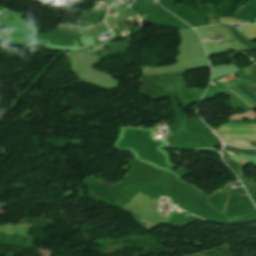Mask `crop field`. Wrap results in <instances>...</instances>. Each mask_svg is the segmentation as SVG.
I'll use <instances>...</instances> for the list:
<instances>
[{"label": "crop field", "mask_w": 256, "mask_h": 256, "mask_svg": "<svg viewBox=\"0 0 256 256\" xmlns=\"http://www.w3.org/2000/svg\"><path fill=\"white\" fill-rule=\"evenodd\" d=\"M232 89L235 90L238 94H240L244 99H246V100H247L250 104H252L254 107H256V102H254V101H253L250 97H248L245 93H243L242 91L238 90V89L235 88V87L232 88ZM232 89H231V90H232ZM235 91H234V92H235ZM246 100H245V101H246ZM247 101H246V102H247ZM252 105H251V106H252ZM253 106H252V107H253Z\"/></svg>", "instance_id": "8a807250"}, {"label": "crop field", "mask_w": 256, "mask_h": 256, "mask_svg": "<svg viewBox=\"0 0 256 256\" xmlns=\"http://www.w3.org/2000/svg\"><path fill=\"white\" fill-rule=\"evenodd\" d=\"M242 86L245 87L250 92H252L254 95H256V88L255 87L248 86V85H242Z\"/></svg>", "instance_id": "ac0d7876"}, {"label": "crop field", "mask_w": 256, "mask_h": 256, "mask_svg": "<svg viewBox=\"0 0 256 256\" xmlns=\"http://www.w3.org/2000/svg\"><path fill=\"white\" fill-rule=\"evenodd\" d=\"M221 192V191H220Z\"/></svg>", "instance_id": "34b2d1b8"}]
</instances>
